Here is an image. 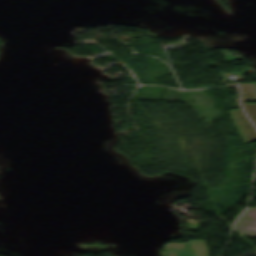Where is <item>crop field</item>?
Wrapping results in <instances>:
<instances>
[{
  "label": "crop field",
  "instance_id": "8a807250",
  "mask_svg": "<svg viewBox=\"0 0 256 256\" xmlns=\"http://www.w3.org/2000/svg\"><path fill=\"white\" fill-rule=\"evenodd\" d=\"M191 250H189L188 243L183 244H168L164 256H208L205 241H189Z\"/></svg>",
  "mask_w": 256,
  "mask_h": 256
}]
</instances>
